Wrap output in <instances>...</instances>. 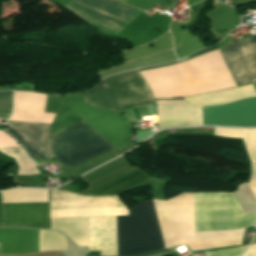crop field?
I'll list each match as a JSON object with an SVG mask.
<instances>
[{"instance_id":"1","label":"crop field","mask_w":256,"mask_h":256,"mask_svg":"<svg viewBox=\"0 0 256 256\" xmlns=\"http://www.w3.org/2000/svg\"><path fill=\"white\" fill-rule=\"evenodd\" d=\"M195 232L255 226L256 214H245L233 193H193ZM118 256L164 247L152 199L117 217ZM173 251L161 250L145 255ZM161 256V255H160Z\"/></svg>"},{"instance_id":"2","label":"crop field","mask_w":256,"mask_h":256,"mask_svg":"<svg viewBox=\"0 0 256 256\" xmlns=\"http://www.w3.org/2000/svg\"><path fill=\"white\" fill-rule=\"evenodd\" d=\"M78 120L60 101L51 134ZM84 123L80 120L51 135L55 157L67 168L114 148Z\"/></svg>"},{"instance_id":"3","label":"crop field","mask_w":256,"mask_h":256,"mask_svg":"<svg viewBox=\"0 0 256 256\" xmlns=\"http://www.w3.org/2000/svg\"><path fill=\"white\" fill-rule=\"evenodd\" d=\"M256 96L251 84L183 100L155 101L159 129L202 125L201 106L223 105Z\"/></svg>"},{"instance_id":"4","label":"crop field","mask_w":256,"mask_h":256,"mask_svg":"<svg viewBox=\"0 0 256 256\" xmlns=\"http://www.w3.org/2000/svg\"><path fill=\"white\" fill-rule=\"evenodd\" d=\"M81 94L87 104L116 112L154 104L137 70L105 78L96 88Z\"/></svg>"},{"instance_id":"5","label":"crop field","mask_w":256,"mask_h":256,"mask_svg":"<svg viewBox=\"0 0 256 256\" xmlns=\"http://www.w3.org/2000/svg\"><path fill=\"white\" fill-rule=\"evenodd\" d=\"M60 100L105 137L120 154L134 147L127 140L133 133L125 117L85 104L80 93L62 96Z\"/></svg>"},{"instance_id":"6","label":"crop field","mask_w":256,"mask_h":256,"mask_svg":"<svg viewBox=\"0 0 256 256\" xmlns=\"http://www.w3.org/2000/svg\"><path fill=\"white\" fill-rule=\"evenodd\" d=\"M121 215H128V209L116 196L91 197L60 190H50L49 218Z\"/></svg>"},{"instance_id":"7","label":"crop field","mask_w":256,"mask_h":256,"mask_svg":"<svg viewBox=\"0 0 256 256\" xmlns=\"http://www.w3.org/2000/svg\"><path fill=\"white\" fill-rule=\"evenodd\" d=\"M66 7L82 19L114 34L141 12L115 0H71Z\"/></svg>"},{"instance_id":"8","label":"crop field","mask_w":256,"mask_h":256,"mask_svg":"<svg viewBox=\"0 0 256 256\" xmlns=\"http://www.w3.org/2000/svg\"><path fill=\"white\" fill-rule=\"evenodd\" d=\"M38 230L0 229V254H23L38 252ZM39 252L65 250L66 239L59 233L39 230Z\"/></svg>"},{"instance_id":"9","label":"crop field","mask_w":256,"mask_h":256,"mask_svg":"<svg viewBox=\"0 0 256 256\" xmlns=\"http://www.w3.org/2000/svg\"><path fill=\"white\" fill-rule=\"evenodd\" d=\"M221 52L238 86L256 81V36L230 41Z\"/></svg>"},{"instance_id":"10","label":"crop field","mask_w":256,"mask_h":256,"mask_svg":"<svg viewBox=\"0 0 256 256\" xmlns=\"http://www.w3.org/2000/svg\"><path fill=\"white\" fill-rule=\"evenodd\" d=\"M252 86L256 92V82ZM203 125L256 126V97L224 106L203 107Z\"/></svg>"},{"instance_id":"11","label":"crop field","mask_w":256,"mask_h":256,"mask_svg":"<svg viewBox=\"0 0 256 256\" xmlns=\"http://www.w3.org/2000/svg\"><path fill=\"white\" fill-rule=\"evenodd\" d=\"M7 126V131L32 158H54L49 138L50 125L8 121Z\"/></svg>"},{"instance_id":"12","label":"crop field","mask_w":256,"mask_h":256,"mask_svg":"<svg viewBox=\"0 0 256 256\" xmlns=\"http://www.w3.org/2000/svg\"><path fill=\"white\" fill-rule=\"evenodd\" d=\"M88 246L101 256H117L116 217L88 218Z\"/></svg>"},{"instance_id":"13","label":"crop field","mask_w":256,"mask_h":256,"mask_svg":"<svg viewBox=\"0 0 256 256\" xmlns=\"http://www.w3.org/2000/svg\"><path fill=\"white\" fill-rule=\"evenodd\" d=\"M46 95L14 92L13 113L9 120L52 123L55 114L43 113Z\"/></svg>"},{"instance_id":"14","label":"crop field","mask_w":256,"mask_h":256,"mask_svg":"<svg viewBox=\"0 0 256 256\" xmlns=\"http://www.w3.org/2000/svg\"><path fill=\"white\" fill-rule=\"evenodd\" d=\"M4 224L47 221L48 203L2 205Z\"/></svg>"},{"instance_id":"15","label":"crop field","mask_w":256,"mask_h":256,"mask_svg":"<svg viewBox=\"0 0 256 256\" xmlns=\"http://www.w3.org/2000/svg\"><path fill=\"white\" fill-rule=\"evenodd\" d=\"M214 135L239 138L243 141L251 163H256V129L215 128ZM249 187L256 197V164H252V178Z\"/></svg>"},{"instance_id":"16","label":"crop field","mask_w":256,"mask_h":256,"mask_svg":"<svg viewBox=\"0 0 256 256\" xmlns=\"http://www.w3.org/2000/svg\"><path fill=\"white\" fill-rule=\"evenodd\" d=\"M51 229L66 234L77 246H87L86 218L51 219Z\"/></svg>"},{"instance_id":"17","label":"crop field","mask_w":256,"mask_h":256,"mask_svg":"<svg viewBox=\"0 0 256 256\" xmlns=\"http://www.w3.org/2000/svg\"><path fill=\"white\" fill-rule=\"evenodd\" d=\"M148 179L145 175H143L139 170L124 176L114 182H111L99 189H96L87 195H109V194H117L131 186H134L144 180Z\"/></svg>"},{"instance_id":"18","label":"crop field","mask_w":256,"mask_h":256,"mask_svg":"<svg viewBox=\"0 0 256 256\" xmlns=\"http://www.w3.org/2000/svg\"><path fill=\"white\" fill-rule=\"evenodd\" d=\"M0 151L15 158L16 163L19 167L16 175L39 173L35 167L38 164H36L32 159L29 158V156L26 154L22 147L4 148L0 149Z\"/></svg>"},{"instance_id":"19","label":"crop field","mask_w":256,"mask_h":256,"mask_svg":"<svg viewBox=\"0 0 256 256\" xmlns=\"http://www.w3.org/2000/svg\"><path fill=\"white\" fill-rule=\"evenodd\" d=\"M246 246H241V247H236V248H231V249H226V250H221V251H216V252H211L209 253L210 256H241V254L244 252L246 249Z\"/></svg>"},{"instance_id":"20","label":"crop field","mask_w":256,"mask_h":256,"mask_svg":"<svg viewBox=\"0 0 256 256\" xmlns=\"http://www.w3.org/2000/svg\"><path fill=\"white\" fill-rule=\"evenodd\" d=\"M10 95H11V92H0V114H8L9 113V97H10Z\"/></svg>"},{"instance_id":"21","label":"crop field","mask_w":256,"mask_h":256,"mask_svg":"<svg viewBox=\"0 0 256 256\" xmlns=\"http://www.w3.org/2000/svg\"><path fill=\"white\" fill-rule=\"evenodd\" d=\"M217 48H218L217 45H215V46H213V47H211V48H207V49H204V50H202V51L196 52L194 55H192V56H190V57H187V58H185V59H183V60H187V59L193 58V57H195V56H197V55H199V54H202V53H204V52H206V51L213 50V49H217ZM183 60H181V61H183ZM181 61L179 60V61H177V62H175V63H171V64H176V63H179V62H181ZM171 64H165V65H162V66H154V67L145 68V69H140V70H146V69H151V68H155V67H163V66H167V65H171ZM140 70H138V71H140Z\"/></svg>"},{"instance_id":"22","label":"crop field","mask_w":256,"mask_h":256,"mask_svg":"<svg viewBox=\"0 0 256 256\" xmlns=\"http://www.w3.org/2000/svg\"><path fill=\"white\" fill-rule=\"evenodd\" d=\"M119 1H121V2L125 3L127 0H119Z\"/></svg>"}]
</instances>
